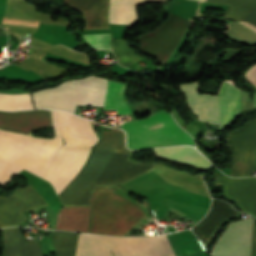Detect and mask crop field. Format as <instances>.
<instances>
[{"label":"crop field","mask_w":256,"mask_h":256,"mask_svg":"<svg viewBox=\"0 0 256 256\" xmlns=\"http://www.w3.org/2000/svg\"><path fill=\"white\" fill-rule=\"evenodd\" d=\"M55 138H39L0 130V184L21 170L43 179L62 145L57 111L51 110Z\"/></svg>","instance_id":"crop-field-2"},{"label":"crop field","mask_w":256,"mask_h":256,"mask_svg":"<svg viewBox=\"0 0 256 256\" xmlns=\"http://www.w3.org/2000/svg\"><path fill=\"white\" fill-rule=\"evenodd\" d=\"M220 127L226 126L234 116L241 113L240 90L233 81L224 80L217 96Z\"/></svg>","instance_id":"crop-field-15"},{"label":"crop field","mask_w":256,"mask_h":256,"mask_svg":"<svg viewBox=\"0 0 256 256\" xmlns=\"http://www.w3.org/2000/svg\"><path fill=\"white\" fill-rule=\"evenodd\" d=\"M197 1H204V0H197Z\"/></svg>","instance_id":"crop-field-32"},{"label":"crop field","mask_w":256,"mask_h":256,"mask_svg":"<svg viewBox=\"0 0 256 256\" xmlns=\"http://www.w3.org/2000/svg\"><path fill=\"white\" fill-rule=\"evenodd\" d=\"M244 78L252 83L254 86H256V65H253L249 68Z\"/></svg>","instance_id":"crop-field-28"},{"label":"crop field","mask_w":256,"mask_h":256,"mask_svg":"<svg viewBox=\"0 0 256 256\" xmlns=\"http://www.w3.org/2000/svg\"><path fill=\"white\" fill-rule=\"evenodd\" d=\"M144 216L139 206L103 188H96L90 233L123 235Z\"/></svg>","instance_id":"crop-field-5"},{"label":"crop field","mask_w":256,"mask_h":256,"mask_svg":"<svg viewBox=\"0 0 256 256\" xmlns=\"http://www.w3.org/2000/svg\"><path fill=\"white\" fill-rule=\"evenodd\" d=\"M155 154L179 163L190 164L203 170L208 164V160L196 149L189 146H178L154 149Z\"/></svg>","instance_id":"crop-field-18"},{"label":"crop field","mask_w":256,"mask_h":256,"mask_svg":"<svg viewBox=\"0 0 256 256\" xmlns=\"http://www.w3.org/2000/svg\"><path fill=\"white\" fill-rule=\"evenodd\" d=\"M90 206L61 208L56 230L88 232Z\"/></svg>","instance_id":"crop-field-16"},{"label":"crop field","mask_w":256,"mask_h":256,"mask_svg":"<svg viewBox=\"0 0 256 256\" xmlns=\"http://www.w3.org/2000/svg\"><path fill=\"white\" fill-rule=\"evenodd\" d=\"M215 184H222L223 196L235 200L242 211L256 217V177L229 178L215 172Z\"/></svg>","instance_id":"crop-field-11"},{"label":"crop field","mask_w":256,"mask_h":256,"mask_svg":"<svg viewBox=\"0 0 256 256\" xmlns=\"http://www.w3.org/2000/svg\"><path fill=\"white\" fill-rule=\"evenodd\" d=\"M226 143L232 155L230 176L251 175L256 147V120L230 132Z\"/></svg>","instance_id":"crop-field-8"},{"label":"crop field","mask_w":256,"mask_h":256,"mask_svg":"<svg viewBox=\"0 0 256 256\" xmlns=\"http://www.w3.org/2000/svg\"><path fill=\"white\" fill-rule=\"evenodd\" d=\"M77 237V233L54 231L53 248L56 256H74Z\"/></svg>","instance_id":"crop-field-22"},{"label":"crop field","mask_w":256,"mask_h":256,"mask_svg":"<svg viewBox=\"0 0 256 256\" xmlns=\"http://www.w3.org/2000/svg\"><path fill=\"white\" fill-rule=\"evenodd\" d=\"M88 42L96 49H110V34L84 35Z\"/></svg>","instance_id":"crop-field-26"},{"label":"crop field","mask_w":256,"mask_h":256,"mask_svg":"<svg viewBox=\"0 0 256 256\" xmlns=\"http://www.w3.org/2000/svg\"><path fill=\"white\" fill-rule=\"evenodd\" d=\"M122 130L104 131L81 172L58 196L63 207L90 205L94 187L121 184L152 170L153 163L128 161Z\"/></svg>","instance_id":"crop-field-1"},{"label":"crop field","mask_w":256,"mask_h":256,"mask_svg":"<svg viewBox=\"0 0 256 256\" xmlns=\"http://www.w3.org/2000/svg\"><path fill=\"white\" fill-rule=\"evenodd\" d=\"M0 35H7L5 30H3L1 27H0Z\"/></svg>","instance_id":"crop-field-29"},{"label":"crop field","mask_w":256,"mask_h":256,"mask_svg":"<svg viewBox=\"0 0 256 256\" xmlns=\"http://www.w3.org/2000/svg\"><path fill=\"white\" fill-rule=\"evenodd\" d=\"M254 110H256V94H255V98H254Z\"/></svg>","instance_id":"crop-field-30"},{"label":"crop field","mask_w":256,"mask_h":256,"mask_svg":"<svg viewBox=\"0 0 256 256\" xmlns=\"http://www.w3.org/2000/svg\"><path fill=\"white\" fill-rule=\"evenodd\" d=\"M33 108L30 95L0 94V109L22 110Z\"/></svg>","instance_id":"crop-field-24"},{"label":"crop field","mask_w":256,"mask_h":256,"mask_svg":"<svg viewBox=\"0 0 256 256\" xmlns=\"http://www.w3.org/2000/svg\"><path fill=\"white\" fill-rule=\"evenodd\" d=\"M131 256H175L166 236L119 237ZM118 237L79 234L75 256H130Z\"/></svg>","instance_id":"crop-field-4"},{"label":"crop field","mask_w":256,"mask_h":256,"mask_svg":"<svg viewBox=\"0 0 256 256\" xmlns=\"http://www.w3.org/2000/svg\"><path fill=\"white\" fill-rule=\"evenodd\" d=\"M122 85L107 83L103 109L117 110V114L129 113L122 98Z\"/></svg>","instance_id":"crop-field-23"},{"label":"crop field","mask_w":256,"mask_h":256,"mask_svg":"<svg viewBox=\"0 0 256 256\" xmlns=\"http://www.w3.org/2000/svg\"><path fill=\"white\" fill-rule=\"evenodd\" d=\"M253 169H256V154H255V160H254V166Z\"/></svg>","instance_id":"crop-field-31"},{"label":"crop field","mask_w":256,"mask_h":256,"mask_svg":"<svg viewBox=\"0 0 256 256\" xmlns=\"http://www.w3.org/2000/svg\"><path fill=\"white\" fill-rule=\"evenodd\" d=\"M73 10L84 13L82 19L85 29H108V0H64Z\"/></svg>","instance_id":"crop-field-14"},{"label":"crop field","mask_w":256,"mask_h":256,"mask_svg":"<svg viewBox=\"0 0 256 256\" xmlns=\"http://www.w3.org/2000/svg\"><path fill=\"white\" fill-rule=\"evenodd\" d=\"M229 4L223 17L239 21L256 7V0H206Z\"/></svg>","instance_id":"crop-field-21"},{"label":"crop field","mask_w":256,"mask_h":256,"mask_svg":"<svg viewBox=\"0 0 256 256\" xmlns=\"http://www.w3.org/2000/svg\"><path fill=\"white\" fill-rule=\"evenodd\" d=\"M106 79L91 75L32 93L35 108H55L73 112L76 105L102 106Z\"/></svg>","instance_id":"crop-field-6"},{"label":"crop field","mask_w":256,"mask_h":256,"mask_svg":"<svg viewBox=\"0 0 256 256\" xmlns=\"http://www.w3.org/2000/svg\"><path fill=\"white\" fill-rule=\"evenodd\" d=\"M252 218L230 222L211 256H249Z\"/></svg>","instance_id":"crop-field-10"},{"label":"crop field","mask_w":256,"mask_h":256,"mask_svg":"<svg viewBox=\"0 0 256 256\" xmlns=\"http://www.w3.org/2000/svg\"><path fill=\"white\" fill-rule=\"evenodd\" d=\"M65 144L60 148L44 180L50 182L57 195L77 175L87 160L90 147L98 138L88 120L58 112Z\"/></svg>","instance_id":"crop-field-3"},{"label":"crop field","mask_w":256,"mask_h":256,"mask_svg":"<svg viewBox=\"0 0 256 256\" xmlns=\"http://www.w3.org/2000/svg\"><path fill=\"white\" fill-rule=\"evenodd\" d=\"M189 23V21L168 17L156 30L137 37L139 51L161 62Z\"/></svg>","instance_id":"crop-field-9"},{"label":"crop field","mask_w":256,"mask_h":256,"mask_svg":"<svg viewBox=\"0 0 256 256\" xmlns=\"http://www.w3.org/2000/svg\"><path fill=\"white\" fill-rule=\"evenodd\" d=\"M190 109L207 123L219 124L216 96L198 93V83L179 85Z\"/></svg>","instance_id":"crop-field-13"},{"label":"crop field","mask_w":256,"mask_h":256,"mask_svg":"<svg viewBox=\"0 0 256 256\" xmlns=\"http://www.w3.org/2000/svg\"><path fill=\"white\" fill-rule=\"evenodd\" d=\"M27 210L30 208L15 191L9 197L0 196V227L25 222L27 219L22 212Z\"/></svg>","instance_id":"crop-field-17"},{"label":"crop field","mask_w":256,"mask_h":256,"mask_svg":"<svg viewBox=\"0 0 256 256\" xmlns=\"http://www.w3.org/2000/svg\"><path fill=\"white\" fill-rule=\"evenodd\" d=\"M250 256H256V219L255 218H253V224H252V238H251Z\"/></svg>","instance_id":"crop-field-27"},{"label":"crop field","mask_w":256,"mask_h":256,"mask_svg":"<svg viewBox=\"0 0 256 256\" xmlns=\"http://www.w3.org/2000/svg\"><path fill=\"white\" fill-rule=\"evenodd\" d=\"M165 0H110L109 23L127 24L131 27L137 22L135 6L144 2H163Z\"/></svg>","instance_id":"crop-field-19"},{"label":"crop field","mask_w":256,"mask_h":256,"mask_svg":"<svg viewBox=\"0 0 256 256\" xmlns=\"http://www.w3.org/2000/svg\"><path fill=\"white\" fill-rule=\"evenodd\" d=\"M51 126L50 110L1 112L0 129L29 134L28 131Z\"/></svg>","instance_id":"crop-field-12"},{"label":"crop field","mask_w":256,"mask_h":256,"mask_svg":"<svg viewBox=\"0 0 256 256\" xmlns=\"http://www.w3.org/2000/svg\"><path fill=\"white\" fill-rule=\"evenodd\" d=\"M176 256H193L201 254L197 242L184 231L166 235Z\"/></svg>","instance_id":"crop-field-20"},{"label":"crop field","mask_w":256,"mask_h":256,"mask_svg":"<svg viewBox=\"0 0 256 256\" xmlns=\"http://www.w3.org/2000/svg\"><path fill=\"white\" fill-rule=\"evenodd\" d=\"M131 149L190 144L193 139L180 129L170 113L156 112L147 119L128 121L122 125ZM121 128V129H122Z\"/></svg>","instance_id":"crop-field-7"},{"label":"crop field","mask_w":256,"mask_h":256,"mask_svg":"<svg viewBox=\"0 0 256 256\" xmlns=\"http://www.w3.org/2000/svg\"><path fill=\"white\" fill-rule=\"evenodd\" d=\"M15 190L32 209L47 205L45 200L29 184L23 188H15Z\"/></svg>","instance_id":"crop-field-25"}]
</instances>
